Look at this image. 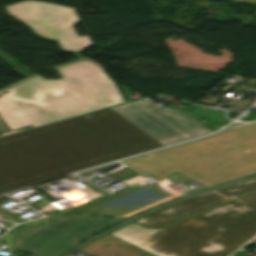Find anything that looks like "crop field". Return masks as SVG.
Listing matches in <instances>:
<instances>
[{"label": "crop field", "instance_id": "1", "mask_svg": "<svg viewBox=\"0 0 256 256\" xmlns=\"http://www.w3.org/2000/svg\"><path fill=\"white\" fill-rule=\"evenodd\" d=\"M162 147L110 108L0 138V192Z\"/></svg>", "mask_w": 256, "mask_h": 256}, {"label": "crop field", "instance_id": "2", "mask_svg": "<svg viewBox=\"0 0 256 256\" xmlns=\"http://www.w3.org/2000/svg\"><path fill=\"white\" fill-rule=\"evenodd\" d=\"M57 70L64 79L36 75L0 93V137L125 103L114 82L89 60Z\"/></svg>", "mask_w": 256, "mask_h": 256}, {"label": "crop field", "instance_id": "3", "mask_svg": "<svg viewBox=\"0 0 256 256\" xmlns=\"http://www.w3.org/2000/svg\"><path fill=\"white\" fill-rule=\"evenodd\" d=\"M256 234V193L155 230L131 223L110 235L155 256H227Z\"/></svg>", "mask_w": 256, "mask_h": 256}, {"label": "crop field", "instance_id": "4", "mask_svg": "<svg viewBox=\"0 0 256 256\" xmlns=\"http://www.w3.org/2000/svg\"><path fill=\"white\" fill-rule=\"evenodd\" d=\"M118 221L70 215L48 226L20 229L13 241L16 249L31 252L32 256H60Z\"/></svg>", "mask_w": 256, "mask_h": 256}, {"label": "crop field", "instance_id": "5", "mask_svg": "<svg viewBox=\"0 0 256 256\" xmlns=\"http://www.w3.org/2000/svg\"><path fill=\"white\" fill-rule=\"evenodd\" d=\"M112 109L164 146L211 133L183 112L150 102L139 100Z\"/></svg>", "mask_w": 256, "mask_h": 256}, {"label": "crop field", "instance_id": "6", "mask_svg": "<svg viewBox=\"0 0 256 256\" xmlns=\"http://www.w3.org/2000/svg\"><path fill=\"white\" fill-rule=\"evenodd\" d=\"M6 9L8 14L28 24L39 36L59 41L63 51L78 52L92 46L88 36H76L72 26L79 18L72 8L24 1L6 6Z\"/></svg>", "mask_w": 256, "mask_h": 256}, {"label": "crop field", "instance_id": "7", "mask_svg": "<svg viewBox=\"0 0 256 256\" xmlns=\"http://www.w3.org/2000/svg\"><path fill=\"white\" fill-rule=\"evenodd\" d=\"M256 190V179L234 184L188 199L152 213L136 222L148 227H162ZM165 227V226H164Z\"/></svg>", "mask_w": 256, "mask_h": 256}, {"label": "crop field", "instance_id": "8", "mask_svg": "<svg viewBox=\"0 0 256 256\" xmlns=\"http://www.w3.org/2000/svg\"><path fill=\"white\" fill-rule=\"evenodd\" d=\"M132 190H134V189H132V188H130V187H127V188H125V189H122V190H119V191L113 193V194H114L113 196L105 197V198H103V199H100V200H98V201H95V202H93V203H90V204H88V205H85V206H83V207L70 209V210H68L67 212H68V213L83 214V215H87V216L116 217V216H111V215H107V214H102V213H97V212H93V211H88V210H85V209H87V208H89V207H92V206H94V205H97V204H99V203H102V202H104V201H107V200H109V199H112V198H114V197H117V196H119V195H122V194H124V193H127V192H129V191H132Z\"/></svg>", "mask_w": 256, "mask_h": 256}, {"label": "crop field", "instance_id": "9", "mask_svg": "<svg viewBox=\"0 0 256 256\" xmlns=\"http://www.w3.org/2000/svg\"><path fill=\"white\" fill-rule=\"evenodd\" d=\"M235 2L256 3V0H230Z\"/></svg>", "mask_w": 256, "mask_h": 256}, {"label": "crop field", "instance_id": "10", "mask_svg": "<svg viewBox=\"0 0 256 256\" xmlns=\"http://www.w3.org/2000/svg\"><path fill=\"white\" fill-rule=\"evenodd\" d=\"M254 241H256V239Z\"/></svg>", "mask_w": 256, "mask_h": 256}, {"label": "crop field", "instance_id": "11", "mask_svg": "<svg viewBox=\"0 0 256 256\" xmlns=\"http://www.w3.org/2000/svg\"><path fill=\"white\" fill-rule=\"evenodd\" d=\"M255 16H256V13H255Z\"/></svg>", "mask_w": 256, "mask_h": 256}]
</instances>
